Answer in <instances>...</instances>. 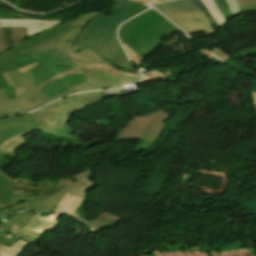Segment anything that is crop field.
I'll return each instance as SVG.
<instances>
[{"label": "crop field", "mask_w": 256, "mask_h": 256, "mask_svg": "<svg viewBox=\"0 0 256 256\" xmlns=\"http://www.w3.org/2000/svg\"><path fill=\"white\" fill-rule=\"evenodd\" d=\"M171 115L164 110H158L148 116L135 117L122 129L118 138H141L161 121Z\"/></svg>", "instance_id": "crop-field-10"}, {"label": "crop field", "mask_w": 256, "mask_h": 256, "mask_svg": "<svg viewBox=\"0 0 256 256\" xmlns=\"http://www.w3.org/2000/svg\"><path fill=\"white\" fill-rule=\"evenodd\" d=\"M21 66H24V63L21 61L19 56L9 58L6 60H0V71L11 69V68H18ZM0 88H4L9 99H15L13 87L11 88L8 87L1 72H0Z\"/></svg>", "instance_id": "crop-field-17"}, {"label": "crop field", "mask_w": 256, "mask_h": 256, "mask_svg": "<svg viewBox=\"0 0 256 256\" xmlns=\"http://www.w3.org/2000/svg\"><path fill=\"white\" fill-rule=\"evenodd\" d=\"M81 16H76L72 19L67 20L64 23H61L57 26H54L44 32H41L33 37L28 38L22 44L12 48L11 50L0 54L1 58L10 57L12 55L20 54L26 50H29L34 47H51L59 39H61L66 33H68L72 28L71 24L78 20Z\"/></svg>", "instance_id": "crop-field-8"}, {"label": "crop field", "mask_w": 256, "mask_h": 256, "mask_svg": "<svg viewBox=\"0 0 256 256\" xmlns=\"http://www.w3.org/2000/svg\"><path fill=\"white\" fill-rule=\"evenodd\" d=\"M29 244L30 243L19 239L11 248L4 246V248L0 252V256H19L23 249Z\"/></svg>", "instance_id": "crop-field-20"}, {"label": "crop field", "mask_w": 256, "mask_h": 256, "mask_svg": "<svg viewBox=\"0 0 256 256\" xmlns=\"http://www.w3.org/2000/svg\"><path fill=\"white\" fill-rule=\"evenodd\" d=\"M61 215L63 214H52L44 219H41L37 214L24 226V228L33 230L43 235L46 231H53L58 224L55 221Z\"/></svg>", "instance_id": "crop-field-16"}, {"label": "crop field", "mask_w": 256, "mask_h": 256, "mask_svg": "<svg viewBox=\"0 0 256 256\" xmlns=\"http://www.w3.org/2000/svg\"><path fill=\"white\" fill-rule=\"evenodd\" d=\"M82 200V198L74 197L67 193L52 212H64L68 215H72Z\"/></svg>", "instance_id": "crop-field-18"}, {"label": "crop field", "mask_w": 256, "mask_h": 256, "mask_svg": "<svg viewBox=\"0 0 256 256\" xmlns=\"http://www.w3.org/2000/svg\"><path fill=\"white\" fill-rule=\"evenodd\" d=\"M26 207H28V204L26 202L20 203L16 206H10V207L0 210V215H7V214L15 213L23 208H26Z\"/></svg>", "instance_id": "crop-field-27"}, {"label": "crop field", "mask_w": 256, "mask_h": 256, "mask_svg": "<svg viewBox=\"0 0 256 256\" xmlns=\"http://www.w3.org/2000/svg\"><path fill=\"white\" fill-rule=\"evenodd\" d=\"M175 29L174 25L156 12L130 25L125 31L128 38L123 42L144 57L157 46L162 36Z\"/></svg>", "instance_id": "crop-field-3"}, {"label": "crop field", "mask_w": 256, "mask_h": 256, "mask_svg": "<svg viewBox=\"0 0 256 256\" xmlns=\"http://www.w3.org/2000/svg\"><path fill=\"white\" fill-rule=\"evenodd\" d=\"M20 202H24L22 191H13L11 205L18 204ZM10 205H0V209L5 208Z\"/></svg>", "instance_id": "crop-field-28"}, {"label": "crop field", "mask_w": 256, "mask_h": 256, "mask_svg": "<svg viewBox=\"0 0 256 256\" xmlns=\"http://www.w3.org/2000/svg\"><path fill=\"white\" fill-rule=\"evenodd\" d=\"M119 93L103 95L102 91L92 93H82L71 97H66L56 103L62 106L65 110L71 114L78 110L104 98L115 97L125 95V90H118Z\"/></svg>", "instance_id": "crop-field-12"}, {"label": "crop field", "mask_w": 256, "mask_h": 256, "mask_svg": "<svg viewBox=\"0 0 256 256\" xmlns=\"http://www.w3.org/2000/svg\"><path fill=\"white\" fill-rule=\"evenodd\" d=\"M123 43V42H122ZM126 51L128 52L131 60L134 62V63H138L141 61L142 57H140L138 54H136L134 51H132L130 48H128L124 43H123Z\"/></svg>", "instance_id": "crop-field-31"}, {"label": "crop field", "mask_w": 256, "mask_h": 256, "mask_svg": "<svg viewBox=\"0 0 256 256\" xmlns=\"http://www.w3.org/2000/svg\"><path fill=\"white\" fill-rule=\"evenodd\" d=\"M19 111L15 109L14 107L10 106L9 104L5 103L0 105V116L11 114V113H18Z\"/></svg>", "instance_id": "crop-field-30"}, {"label": "crop field", "mask_w": 256, "mask_h": 256, "mask_svg": "<svg viewBox=\"0 0 256 256\" xmlns=\"http://www.w3.org/2000/svg\"><path fill=\"white\" fill-rule=\"evenodd\" d=\"M214 55L218 56L219 58H221L223 61L229 59V57L227 55H225L221 50H219L218 48L210 50Z\"/></svg>", "instance_id": "crop-field-34"}, {"label": "crop field", "mask_w": 256, "mask_h": 256, "mask_svg": "<svg viewBox=\"0 0 256 256\" xmlns=\"http://www.w3.org/2000/svg\"><path fill=\"white\" fill-rule=\"evenodd\" d=\"M160 2H163V1H168V0H159Z\"/></svg>", "instance_id": "crop-field-44"}, {"label": "crop field", "mask_w": 256, "mask_h": 256, "mask_svg": "<svg viewBox=\"0 0 256 256\" xmlns=\"http://www.w3.org/2000/svg\"><path fill=\"white\" fill-rule=\"evenodd\" d=\"M98 13L99 12L86 13L82 18H80L73 24L77 26L52 47L61 48L88 61L106 64L113 61L115 58L123 55L124 53L120 48L115 35L105 40L100 37L98 39L92 40L90 42L73 48V44L77 35L80 34V32L87 25V23Z\"/></svg>", "instance_id": "crop-field-2"}, {"label": "crop field", "mask_w": 256, "mask_h": 256, "mask_svg": "<svg viewBox=\"0 0 256 256\" xmlns=\"http://www.w3.org/2000/svg\"><path fill=\"white\" fill-rule=\"evenodd\" d=\"M119 64H120L122 67H124L125 69H127V70H130V71H132V72L135 71V69L130 66V64L128 63L127 59H125V60L119 62Z\"/></svg>", "instance_id": "crop-field-36"}, {"label": "crop field", "mask_w": 256, "mask_h": 256, "mask_svg": "<svg viewBox=\"0 0 256 256\" xmlns=\"http://www.w3.org/2000/svg\"><path fill=\"white\" fill-rule=\"evenodd\" d=\"M197 6L202 10V12L207 16V18L212 22V24L215 26L216 29L220 28V26L217 24V22L212 18V16L208 13V11L205 9L204 5L200 0H193Z\"/></svg>", "instance_id": "crop-field-29"}, {"label": "crop field", "mask_w": 256, "mask_h": 256, "mask_svg": "<svg viewBox=\"0 0 256 256\" xmlns=\"http://www.w3.org/2000/svg\"><path fill=\"white\" fill-rule=\"evenodd\" d=\"M29 231H30V230H27V229L22 228V230H21L16 236L22 238V237H24L25 235H27Z\"/></svg>", "instance_id": "crop-field-38"}, {"label": "crop field", "mask_w": 256, "mask_h": 256, "mask_svg": "<svg viewBox=\"0 0 256 256\" xmlns=\"http://www.w3.org/2000/svg\"><path fill=\"white\" fill-rule=\"evenodd\" d=\"M19 56L25 65L33 62L39 64L29 70L36 80L33 86L37 89L58 77L81 73H85L88 81L71 88L73 92L120 87L118 77L135 83L140 81L137 75L121 72L107 65L85 62L53 48H36Z\"/></svg>", "instance_id": "crop-field-1"}, {"label": "crop field", "mask_w": 256, "mask_h": 256, "mask_svg": "<svg viewBox=\"0 0 256 256\" xmlns=\"http://www.w3.org/2000/svg\"><path fill=\"white\" fill-rule=\"evenodd\" d=\"M86 80L87 79L84 74L61 77V78H58V79L54 80L53 82L43 86L42 88H40L38 90L50 98L58 93H61L65 90L75 86V85H78Z\"/></svg>", "instance_id": "crop-field-14"}, {"label": "crop field", "mask_w": 256, "mask_h": 256, "mask_svg": "<svg viewBox=\"0 0 256 256\" xmlns=\"http://www.w3.org/2000/svg\"><path fill=\"white\" fill-rule=\"evenodd\" d=\"M208 58H213V56H211L209 53H207L206 51L204 50H201Z\"/></svg>", "instance_id": "crop-field-41"}, {"label": "crop field", "mask_w": 256, "mask_h": 256, "mask_svg": "<svg viewBox=\"0 0 256 256\" xmlns=\"http://www.w3.org/2000/svg\"><path fill=\"white\" fill-rule=\"evenodd\" d=\"M91 173L90 168L85 169L84 171H82L81 173H79L78 175H76L75 177H73L74 179L79 177V179L81 180V182L86 186V188H90L92 185H94V182H91L89 175ZM92 174V173H91ZM91 176V175H90Z\"/></svg>", "instance_id": "crop-field-24"}, {"label": "crop field", "mask_w": 256, "mask_h": 256, "mask_svg": "<svg viewBox=\"0 0 256 256\" xmlns=\"http://www.w3.org/2000/svg\"><path fill=\"white\" fill-rule=\"evenodd\" d=\"M137 1H142V2H147V3L159 2L157 0H137Z\"/></svg>", "instance_id": "crop-field-40"}, {"label": "crop field", "mask_w": 256, "mask_h": 256, "mask_svg": "<svg viewBox=\"0 0 256 256\" xmlns=\"http://www.w3.org/2000/svg\"><path fill=\"white\" fill-rule=\"evenodd\" d=\"M75 181L76 183L65 184L61 191L30 204V207L26 208L25 210L38 209L39 213L51 212L67 192L74 196L85 198L87 189L79 179H76Z\"/></svg>", "instance_id": "crop-field-11"}, {"label": "crop field", "mask_w": 256, "mask_h": 256, "mask_svg": "<svg viewBox=\"0 0 256 256\" xmlns=\"http://www.w3.org/2000/svg\"><path fill=\"white\" fill-rule=\"evenodd\" d=\"M239 7L256 4V0H237Z\"/></svg>", "instance_id": "crop-field-35"}, {"label": "crop field", "mask_w": 256, "mask_h": 256, "mask_svg": "<svg viewBox=\"0 0 256 256\" xmlns=\"http://www.w3.org/2000/svg\"><path fill=\"white\" fill-rule=\"evenodd\" d=\"M3 75L9 87L14 85L16 100H8L4 90L1 89L0 104L7 102L21 112H26L39 108L57 98H60L62 95L71 92L69 89L49 99L37 89L31 86V82L34 81V78L31 76L29 71L22 76H20L18 70L4 72Z\"/></svg>", "instance_id": "crop-field-5"}, {"label": "crop field", "mask_w": 256, "mask_h": 256, "mask_svg": "<svg viewBox=\"0 0 256 256\" xmlns=\"http://www.w3.org/2000/svg\"><path fill=\"white\" fill-rule=\"evenodd\" d=\"M63 186H30V183L13 182L0 173V204H10L12 190H23L24 199L30 204L61 190Z\"/></svg>", "instance_id": "crop-field-9"}, {"label": "crop field", "mask_w": 256, "mask_h": 256, "mask_svg": "<svg viewBox=\"0 0 256 256\" xmlns=\"http://www.w3.org/2000/svg\"><path fill=\"white\" fill-rule=\"evenodd\" d=\"M83 225L86 226L87 228H89L90 230L94 231V232H98L99 231L98 229L94 228L93 226H91V225H89L87 223H85Z\"/></svg>", "instance_id": "crop-field-39"}, {"label": "crop field", "mask_w": 256, "mask_h": 256, "mask_svg": "<svg viewBox=\"0 0 256 256\" xmlns=\"http://www.w3.org/2000/svg\"><path fill=\"white\" fill-rule=\"evenodd\" d=\"M113 12H100L85 27L82 33L77 37L74 46L85 43L92 39L102 36L104 39L115 34L117 26L125 19L135 15L147 6L140 5L131 1L111 0Z\"/></svg>", "instance_id": "crop-field-4"}, {"label": "crop field", "mask_w": 256, "mask_h": 256, "mask_svg": "<svg viewBox=\"0 0 256 256\" xmlns=\"http://www.w3.org/2000/svg\"><path fill=\"white\" fill-rule=\"evenodd\" d=\"M153 5L188 33L204 31L208 34L216 32L214 26L192 0Z\"/></svg>", "instance_id": "crop-field-7"}, {"label": "crop field", "mask_w": 256, "mask_h": 256, "mask_svg": "<svg viewBox=\"0 0 256 256\" xmlns=\"http://www.w3.org/2000/svg\"><path fill=\"white\" fill-rule=\"evenodd\" d=\"M35 65H37V63H33V64H31V65H27V66L18 68V70H19L20 74H23V73H25L26 71H28L29 69H31L32 67H34Z\"/></svg>", "instance_id": "crop-field-37"}, {"label": "crop field", "mask_w": 256, "mask_h": 256, "mask_svg": "<svg viewBox=\"0 0 256 256\" xmlns=\"http://www.w3.org/2000/svg\"><path fill=\"white\" fill-rule=\"evenodd\" d=\"M253 97H254V103H255V108H256V93H253Z\"/></svg>", "instance_id": "crop-field-43"}, {"label": "crop field", "mask_w": 256, "mask_h": 256, "mask_svg": "<svg viewBox=\"0 0 256 256\" xmlns=\"http://www.w3.org/2000/svg\"><path fill=\"white\" fill-rule=\"evenodd\" d=\"M154 12H156V11L150 9V10H148V11H146V12H144V13H142V14H140V15H138V16L132 18V19H130V20L127 21L126 23H124V24L122 25L121 29H120V32H119V37H120V39L122 40V39L126 38V35L124 34V30H125L130 24H132V23H134V22H136V21H138V20H140V19H142V18H144V17H146V16H148V15L154 13Z\"/></svg>", "instance_id": "crop-field-23"}, {"label": "crop field", "mask_w": 256, "mask_h": 256, "mask_svg": "<svg viewBox=\"0 0 256 256\" xmlns=\"http://www.w3.org/2000/svg\"><path fill=\"white\" fill-rule=\"evenodd\" d=\"M40 234L35 233L33 231L29 232V234L24 237L23 239L28 240L30 242L36 243L37 239L39 238Z\"/></svg>", "instance_id": "crop-field-33"}, {"label": "crop field", "mask_w": 256, "mask_h": 256, "mask_svg": "<svg viewBox=\"0 0 256 256\" xmlns=\"http://www.w3.org/2000/svg\"><path fill=\"white\" fill-rule=\"evenodd\" d=\"M209 13L214 17L220 26L226 24L213 0H201Z\"/></svg>", "instance_id": "crop-field-21"}, {"label": "crop field", "mask_w": 256, "mask_h": 256, "mask_svg": "<svg viewBox=\"0 0 256 256\" xmlns=\"http://www.w3.org/2000/svg\"><path fill=\"white\" fill-rule=\"evenodd\" d=\"M26 120L27 119L24 117V115L1 120L0 121V129L10 126V125L18 124V123H20L22 121H26Z\"/></svg>", "instance_id": "crop-field-25"}, {"label": "crop field", "mask_w": 256, "mask_h": 256, "mask_svg": "<svg viewBox=\"0 0 256 256\" xmlns=\"http://www.w3.org/2000/svg\"><path fill=\"white\" fill-rule=\"evenodd\" d=\"M232 14L241 12L240 9L238 8L236 0H226Z\"/></svg>", "instance_id": "crop-field-32"}, {"label": "crop field", "mask_w": 256, "mask_h": 256, "mask_svg": "<svg viewBox=\"0 0 256 256\" xmlns=\"http://www.w3.org/2000/svg\"><path fill=\"white\" fill-rule=\"evenodd\" d=\"M27 38L26 28L0 27V53L22 43Z\"/></svg>", "instance_id": "crop-field-15"}, {"label": "crop field", "mask_w": 256, "mask_h": 256, "mask_svg": "<svg viewBox=\"0 0 256 256\" xmlns=\"http://www.w3.org/2000/svg\"><path fill=\"white\" fill-rule=\"evenodd\" d=\"M216 5L218 6L223 18L226 20L227 22V18L232 17V14L225 2V0H214Z\"/></svg>", "instance_id": "crop-field-26"}, {"label": "crop field", "mask_w": 256, "mask_h": 256, "mask_svg": "<svg viewBox=\"0 0 256 256\" xmlns=\"http://www.w3.org/2000/svg\"><path fill=\"white\" fill-rule=\"evenodd\" d=\"M33 126L29 121L23 122L18 125L10 126L5 129L0 130V144L7 139L13 137L14 135L22 132L25 129L32 128Z\"/></svg>", "instance_id": "crop-field-19"}, {"label": "crop field", "mask_w": 256, "mask_h": 256, "mask_svg": "<svg viewBox=\"0 0 256 256\" xmlns=\"http://www.w3.org/2000/svg\"><path fill=\"white\" fill-rule=\"evenodd\" d=\"M35 128L28 129L23 133L7 140L0 145V150L13 156L14 150L28 140L23 137L36 130L52 133L70 122L71 114L56 103L26 116Z\"/></svg>", "instance_id": "crop-field-6"}, {"label": "crop field", "mask_w": 256, "mask_h": 256, "mask_svg": "<svg viewBox=\"0 0 256 256\" xmlns=\"http://www.w3.org/2000/svg\"><path fill=\"white\" fill-rule=\"evenodd\" d=\"M63 21H48L35 19H0V26L27 27L28 35L33 36Z\"/></svg>", "instance_id": "crop-field-13"}, {"label": "crop field", "mask_w": 256, "mask_h": 256, "mask_svg": "<svg viewBox=\"0 0 256 256\" xmlns=\"http://www.w3.org/2000/svg\"><path fill=\"white\" fill-rule=\"evenodd\" d=\"M35 214L20 212L11 217L7 222L23 227Z\"/></svg>", "instance_id": "crop-field-22"}, {"label": "crop field", "mask_w": 256, "mask_h": 256, "mask_svg": "<svg viewBox=\"0 0 256 256\" xmlns=\"http://www.w3.org/2000/svg\"><path fill=\"white\" fill-rule=\"evenodd\" d=\"M0 1H2V0H0Z\"/></svg>", "instance_id": "crop-field-45"}, {"label": "crop field", "mask_w": 256, "mask_h": 256, "mask_svg": "<svg viewBox=\"0 0 256 256\" xmlns=\"http://www.w3.org/2000/svg\"><path fill=\"white\" fill-rule=\"evenodd\" d=\"M110 64H112V65H114V66H116V67H118V68L121 67V66H120L117 62H115V61L111 62Z\"/></svg>", "instance_id": "crop-field-42"}]
</instances>
